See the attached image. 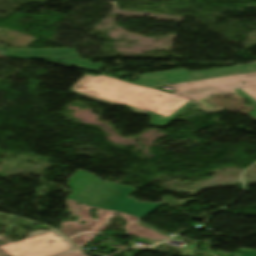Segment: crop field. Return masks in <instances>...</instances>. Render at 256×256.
<instances>
[{
    "instance_id": "obj_4",
    "label": "crop field",
    "mask_w": 256,
    "mask_h": 256,
    "mask_svg": "<svg viewBox=\"0 0 256 256\" xmlns=\"http://www.w3.org/2000/svg\"><path fill=\"white\" fill-rule=\"evenodd\" d=\"M6 55L12 58H79L75 49H12Z\"/></svg>"
},
{
    "instance_id": "obj_3",
    "label": "crop field",
    "mask_w": 256,
    "mask_h": 256,
    "mask_svg": "<svg viewBox=\"0 0 256 256\" xmlns=\"http://www.w3.org/2000/svg\"><path fill=\"white\" fill-rule=\"evenodd\" d=\"M4 245L0 246V256H86L55 231H35L26 240L9 242L5 235H0ZM54 243L48 244V241Z\"/></svg>"
},
{
    "instance_id": "obj_5",
    "label": "crop field",
    "mask_w": 256,
    "mask_h": 256,
    "mask_svg": "<svg viewBox=\"0 0 256 256\" xmlns=\"http://www.w3.org/2000/svg\"><path fill=\"white\" fill-rule=\"evenodd\" d=\"M54 60H57V59H54ZM59 61H63V62H66V63L77 65V66H80L82 68H85V69H88V70H91V71L103 68L102 63L91 64L90 62H88L86 60H82V59L59 60Z\"/></svg>"
},
{
    "instance_id": "obj_6",
    "label": "crop field",
    "mask_w": 256,
    "mask_h": 256,
    "mask_svg": "<svg viewBox=\"0 0 256 256\" xmlns=\"http://www.w3.org/2000/svg\"><path fill=\"white\" fill-rule=\"evenodd\" d=\"M182 252L184 256H195L193 251L194 249H196L195 245H187L185 244L182 248Z\"/></svg>"
},
{
    "instance_id": "obj_1",
    "label": "crop field",
    "mask_w": 256,
    "mask_h": 256,
    "mask_svg": "<svg viewBox=\"0 0 256 256\" xmlns=\"http://www.w3.org/2000/svg\"><path fill=\"white\" fill-rule=\"evenodd\" d=\"M246 82V84L242 83ZM138 85L101 75H86L73 92L104 103L132 107L133 112L150 114L151 125L164 126L191 103L206 112L223 110L209 97L218 93H237L255 106L249 113L256 118V63L188 72L176 69L140 75ZM161 85L175 88L174 95L155 90Z\"/></svg>"
},
{
    "instance_id": "obj_9",
    "label": "crop field",
    "mask_w": 256,
    "mask_h": 256,
    "mask_svg": "<svg viewBox=\"0 0 256 256\" xmlns=\"http://www.w3.org/2000/svg\"><path fill=\"white\" fill-rule=\"evenodd\" d=\"M0 51H2V49L0 48Z\"/></svg>"
},
{
    "instance_id": "obj_2",
    "label": "crop field",
    "mask_w": 256,
    "mask_h": 256,
    "mask_svg": "<svg viewBox=\"0 0 256 256\" xmlns=\"http://www.w3.org/2000/svg\"><path fill=\"white\" fill-rule=\"evenodd\" d=\"M67 186L73 190V193L66 199L69 212L73 216L78 214L80 219L76 222L61 223L63 227L61 231L79 246L103 230L108 219L114 213L122 215L128 222L125 225L126 234L154 240L170 237L151 227L141 225V220L144 217L164 203H136L133 199L128 198L135 188L101 181L95 175L83 170H77L69 178ZM77 201L81 205H77ZM92 208L98 209L99 220L90 218L88 210ZM81 220L86 223L79 224Z\"/></svg>"
},
{
    "instance_id": "obj_7",
    "label": "crop field",
    "mask_w": 256,
    "mask_h": 256,
    "mask_svg": "<svg viewBox=\"0 0 256 256\" xmlns=\"http://www.w3.org/2000/svg\"><path fill=\"white\" fill-rule=\"evenodd\" d=\"M236 252H242L241 256H256V252H250V251H236Z\"/></svg>"
},
{
    "instance_id": "obj_8",
    "label": "crop field",
    "mask_w": 256,
    "mask_h": 256,
    "mask_svg": "<svg viewBox=\"0 0 256 256\" xmlns=\"http://www.w3.org/2000/svg\"><path fill=\"white\" fill-rule=\"evenodd\" d=\"M173 239L180 240V237H175V238H173ZM180 241H181V240H180Z\"/></svg>"
}]
</instances>
